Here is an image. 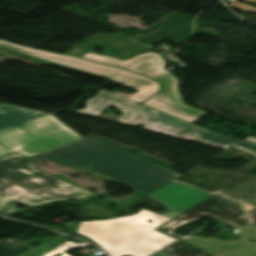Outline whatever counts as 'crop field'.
<instances>
[{
  "instance_id": "crop-field-1",
  "label": "crop field",
  "mask_w": 256,
  "mask_h": 256,
  "mask_svg": "<svg viewBox=\"0 0 256 256\" xmlns=\"http://www.w3.org/2000/svg\"><path fill=\"white\" fill-rule=\"evenodd\" d=\"M213 193L171 182L148 195L168 208L167 212L158 215L147 210L108 221L81 222L77 233L83 234L103 246L109 256L130 254L132 256H148L155 252L151 248L133 242L146 233L154 230L168 220L178 216ZM148 219L154 220L148 223Z\"/></svg>"
},
{
  "instance_id": "crop-field-2",
  "label": "crop field",
  "mask_w": 256,
  "mask_h": 256,
  "mask_svg": "<svg viewBox=\"0 0 256 256\" xmlns=\"http://www.w3.org/2000/svg\"><path fill=\"white\" fill-rule=\"evenodd\" d=\"M31 159L52 160L104 180L125 184L145 195L180 176L90 138Z\"/></svg>"
},
{
  "instance_id": "crop-field-3",
  "label": "crop field",
  "mask_w": 256,
  "mask_h": 256,
  "mask_svg": "<svg viewBox=\"0 0 256 256\" xmlns=\"http://www.w3.org/2000/svg\"><path fill=\"white\" fill-rule=\"evenodd\" d=\"M93 193L33 168L32 160L19 153L0 159V212L89 196Z\"/></svg>"
},
{
  "instance_id": "crop-field-4",
  "label": "crop field",
  "mask_w": 256,
  "mask_h": 256,
  "mask_svg": "<svg viewBox=\"0 0 256 256\" xmlns=\"http://www.w3.org/2000/svg\"><path fill=\"white\" fill-rule=\"evenodd\" d=\"M103 47L102 55L96 54L94 49ZM108 65H117L146 77L152 78L162 84L161 92L143 104L156 108L191 123L204 117L208 113L184 104L178 92V80L165 69L166 64L161 54L148 52L130 59L116 55L111 48L104 45H92L90 52L82 56Z\"/></svg>"
},
{
  "instance_id": "crop-field-5",
  "label": "crop field",
  "mask_w": 256,
  "mask_h": 256,
  "mask_svg": "<svg viewBox=\"0 0 256 256\" xmlns=\"http://www.w3.org/2000/svg\"><path fill=\"white\" fill-rule=\"evenodd\" d=\"M0 49L15 55L24 56L38 63L57 65L101 77L138 90L136 93H114L139 103L159 91L160 84L119 67H108L74 56L51 54L0 40Z\"/></svg>"
},
{
  "instance_id": "crop-field-6",
  "label": "crop field",
  "mask_w": 256,
  "mask_h": 256,
  "mask_svg": "<svg viewBox=\"0 0 256 256\" xmlns=\"http://www.w3.org/2000/svg\"><path fill=\"white\" fill-rule=\"evenodd\" d=\"M83 139L52 115L0 131V158L16 151L33 156Z\"/></svg>"
},
{
  "instance_id": "crop-field-7",
  "label": "crop field",
  "mask_w": 256,
  "mask_h": 256,
  "mask_svg": "<svg viewBox=\"0 0 256 256\" xmlns=\"http://www.w3.org/2000/svg\"><path fill=\"white\" fill-rule=\"evenodd\" d=\"M120 107L124 114L119 118L128 124H144L149 130L167 134L181 139L203 141L222 148H229L237 142L184 122L142 104L129 108L119 103H104L92 108L77 111L81 113L100 114L107 106Z\"/></svg>"
},
{
  "instance_id": "crop-field-8",
  "label": "crop field",
  "mask_w": 256,
  "mask_h": 256,
  "mask_svg": "<svg viewBox=\"0 0 256 256\" xmlns=\"http://www.w3.org/2000/svg\"><path fill=\"white\" fill-rule=\"evenodd\" d=\"M206 215H211L217 220L231 224L237 228L250 223L245 218L244 207L241 203L222 195H214L158 230L179 238L181 236L172 233L177 226L191 220L203 218Z\"/></svg>"
},
{
  "instance_id": "crop-field-9",
  "label": "crop field",
  "mask_w": 256,
  "mask_h": 256,
  "mask_svg": "<svg viewBox=\"0 0 256 256\" xmlns=\"http://www.w3.org/2000/svg\"><path fill=\"white\" fill-rule=\"evenodd\" d=\"M234 234L241 236L240 240L223 241L218 238H202L196 235H190L182 238L181 240L210 250L212 252L252 243L247 240L253 239L256 241V225H248L237 231ZM256 245L255 243H252ZM212 256H256V246L247 245L219 253L212 254Z\"/></svg>"
},
{
  "instance_id": "crop-field-10",
  "label": "crop field",
  "mask_w": 256,
  "mask_h": 256,
  "mask_svg": "<svg viewBox=\"0 0 256 256\" xmlns=\"http://www.w3.org/2000/svg\"><path fill=\"white\" fill-rule=\"evenodd\" d=\"M45 114L11 106H0V130L32 120Z\"/></svg>"
},
{
  "instance_id": "crop-field-11",
  "label": "crop field",
  "mask_w": 256,
  "mask_h": 256,
  "mask_svg": "<svg viewBox=\"0 0 256 256\" xmlns=\"http://www.w3.org/2000/svg\"><path fill=\"white\" fill-rule=\"evenodd\" d=\"M161 252L167 253L172 256H204L210 254V252L208 251L200 249L181 240L175 242Z\"/></svg>"
},
{
  "instance_id": "crop-field-12",
  "label": "crop field",
  "mask_w": 256,
  "mask_h": 256,
  "mask_svg": "<svg viewBox=\"0 0 256 256\" xmlns=\"http://www.w3.org/2000/svg\"><path fill=\"white\" fill-rule=\"evenodd\" d=\"M176 239L168 237L156 230L136 240L140 244L154 248L156 250L166 246L167 244L175 241Z\"/></svg>"
},
{
  "instance_id": "crop-field-13",
  "label": "crop field",
  "mask_w": 256,
  "mask_h": 256,
  "mask_svg": "<svg viewBox=\"0 0 256 256\" xmlns=\"http://www.w3.org/2000/svg\"><path fill=\"white\" fill-rule=\"evenodd\" d=\"M31 248L20 241L5 239L0 242V256H18Z\"/></svg>"
},
{
  "instance_id": "crop-field-14",
  "label": "crop field",
  "mask_w": 256,
  "mask_h": 256,
  "mask_svg": "<svg viewBox=\"0 0 256 256\" xmlns=\"http://www.w3.org/2000/svg\"><path fill=\"white\" fill-rule=\"evenodd\" d=\"M108 101H118L120 103L129 105V106L139 104L137 102H134L132 100L126 99L124 97H121L119 95H116L114 93H111L109 91L102 89L98 92L96 97L88 100L86 107L95 105V104H99V103H103V102H108Z\"/></svg>"
},
{
  "instance_id": "crop-field-15",
  "label": "crop field",
  "mask_w": 256,
  "mask_h": 256,
  "mask_svg": "<svg viewBox=\"0 0 256 256\" xmlns=\"http://www.w3.org/2000/svg\"><path fill=\"white\" fill-rule=\"evenodd\" d=\"M234 147L244 150L246 152H251L256 157V139L254 138L249 137L239 142Z\"/></svg>"
},
{
  "instance_id": "crop-field-16",
  "label": "crop field",
  "mask_w": 256,
  "mask_h": 256,
  "mask_svg": "<svg viewBox=\"0 0 256 256\" xmlns=\"http://www.w3.org/2000/svg\"><path fill=\"white\" fill-rule=\"evenodd\" d=\"M81 246H89V244H75V243L69 241V242H67L66 244H64V245H62V246H60V247H58L57 249L53 250L52 252L48 253V254L45 255V256H51L52 254L58 253V252L63 253L62 251L65 250V249H67V248H71V247H81ZM62 256H69V255L63 253Z\"/></svg>"
},
{
  "instance_id": "crop-field-17",
  "label": "crop field",
  "mask_w": 256,
  "mask_h": 256,
  "mask_svg": "<svg viewBox=\"0 0 256 256\" xmlns=\"http://www.w3.org/2000/svg\"><path fill=\"white\" fill-rule=\"evenodd\" d=\"M153 256H169V255H166L164 253L158 252V253L154 254Z\"/></svg>"
}]
</instances>
